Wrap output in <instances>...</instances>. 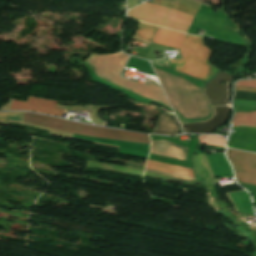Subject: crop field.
<instances>
[{
	"label": "crop field",
	"instance_id": "9",
	"mask_svg": "<svg viewBox=\"0 0 256 256\" xmlns=\"http://www.w3.org/2000/svg\"><path fill=\"white\" fill-rule=\"evenodd\" d=\"M153 42L180 49L184 43V36L182 33L159 27Z\"/></svg>",
	"mask_w": 256,
	"mask_h": 256
},
{
	"label": "crop field",
	"instance_id": "14",
	"mask_svg": "<svg viewBox=\"0 0 256 256\" xmlns=\"http://www.w3.org/2000/svg\"><path fill=\"white\" fill-rule=\"evenodd\" d=\"M200 143L224 147L225 139L217 136H199Z\"/></svg>",
	"mask_w": 256,
	"mask_h": 256
},
{
	"label": "crop field",
	"instance_id": "17",
	"mask_svg": "<svg viewBox=\"0 0 256 256\" xmlns=\"http://www.w3.org/2000/svg\"><path fill=\"white\" fill-rule=\"evenodd\" d=\"M236 86H242V87H255L256 88V80L252 81H239Z\"/></svg>",
	"mask_w": 256,
	"mask_h": 256
},
{
	"label": "crop field",
	"instance_id": "6",
	"mask_svg": "<svg viewBox=\"0 0 256 256\" xmlns=\"http://www.w3.org/2000/svg\"><path fill=\"white\" fill-rule=\"evenodd\" d=\"M238 181L256 185V154L228 149Z\"/></svg>",
	"mask_w": 256,
	"mask_h": 256
},
{
	"label": "crop field",
	"instance_id": "8",
	"mask_svg": "<svg viewBox=\"0 0 256 256\" xmlns=\"http://www.w3.org/2000/svg\"><path fill=\"white\" fill-rule=\"evenodd\" d=\"M151 141V153L186 160V148L184 146L170 141Z\"/></svg>",
	"mask_w": 256,
	"mask_h": 256
},
{
	"label": "crop field",
	"instance_id": "1",
	"mask_svg": "<svg viewBox=\"0 0 256 256\" xmlns=\"http://www.w3.org/2000/svg\"><path fill=\"white\" fill-rule=\"evenodd\" d=\"M152 65L174 111L183 119L204 121L212 116V109L202 92L204 82L155 64ZM177 113L178 119L183 120Z\"/></svg>",
	"mask_w": 256,
	"mask_h": 256
},
{
	"label": "crop field",
	"instance_id": "19",
	"mask_svg": "<svg viewBox=\"0 0 256 256\" xmlns=\"http://www.w3.org/2000/svg\"><path fill=\"white\" fill-rule=\"evenodd\" d=\"M236 90L240 91H250V92H256V89L254 88H242V87H235Z\"/></svg>",
	"mask_w": 256,
	"mask_h": 256
},
{
	"label": "crop field",
	"instance_id": "7",
	"mask_svg": "<svg viewBox=\"0 0 256 256\" xmlns=\"http://www.w3.org/2000/svg\"><path fill=\"white\" fill-rule=\"evenodd\" d=\"M57 102L31 98L27 102L13 100L9 110L27 109L61 117L65 111L57 108Z\"/></svg>",
	"mask_w": 256,
	"mask_h": 256
},
{
	"label": "crop field",
	"instance_id": "16",
	"mask_svg": "<svg viewBox=\"0 0 256 256\" xmlns=\"http://www.w3.org/2000/svg\"><path fill=\"white\" fill-rule=\"evenodd\" d=\"M154 2L159 3V4H163V5H167V6H170L172 8H175V9H178V10H181V11L193 14V15H195V13L197 11L196 9H194L190 6L179 4V3L177 4V6H175L173 4H170V3H167V2H164V1H160V0H155Z\"/></svg>",
	"mask_w": 256,
	"mask_h": 256
},
{
	"label": "crop field",
	"instance_id": "11",
	"mask_svg": "<svg viewBox=\"0 0 256 256\" xmlns=\"http://www.w3.org/2000/svg\"><path fill=\"white\" fill-rule=\"evenodd\" d=\"M146 167L168 172V173L194 177L191 169L179 167L171 164L149 160Z\"/></svg>",
	"mask_w": 256,
	"mask_h": 256
},
{
	"label": "crop field",
	"instance_id": "15",
	"mask_svg": "<svg viewBox=\"0 0 256 256\" xmlns=\"http://www.w3.org/2000/svg\"><path fill=\"white\" fill-rule=\"evenodd\" d=\"M22 114L20 112L0 113V124L6 125L8 120L20 122Z\"/></svg>",
	"mask_w": 256,
	"mask_h": 256
},
{
	"label": "crop field",
	"instance_id": "5",
	"mask_svg": "<svg viewBox=\"0 0 256 256\" xmlns=\"http://www.w3.org/2000/svg\"><path fill=\"white\" fill-rule=\"evenodd\" d=\"M133 19L186 33L193 16L174 9L144 3L128 12Z\"/></svg>",
	"mask_w": 256,
	"mask_h": 256
},
{
	"label": "crop field",
	"instance_id": "12",
	"mask_svg": "<svg viewBox=\"0 0 256 256\" xmlns=\"http://www.w3.org/2000/svg\"><path fill=\"white\" fill-rule=\"evenodd\" d=\"M233 126H255L256 127V111L251 113H235Z\"/></svg>",
	"mask_w": 256,
	"mask_h": 256
},
{
	"label": "crop field",
	"instance_id": "4",
	"mask_svg": "<svg viewBox=\"0 0 256 256\" xmlns=\"http://www.w3.org/2000/svg\"><path fill=\"white\" fill-rule=\"evenodd\" d=\"M185 44L180 49L182 59L169 60L176 65V71L207 81L218 70L208 63L210 51L204 46L203 39L185 35Z\"/></svg>",
	"mask_w": 256,
	"mask_h": 256
},
{
	"label": "crop field",
	"instance_id": "18",
	"mask_svg": "<svg viewBox=\"0 0 256 256\" xmlns=\"http://www.w3.org/2000/svg\"><path fill=\"white\" fill-rule=\"evenodd\" d=\"M145 170H147V171H152V172H156V173H160V174L167 175V176H172V177H178V178H184V179H193V180H196L195 178L182 177V176L173 175V174L161 173V172H157V171H154V170H151V169H147V168H146Z\"/></svg>",
	"mask_w": 256,
	"mask_h": 256
},
{
	"label": "crop field",
	"instance_id": "3",
	"mask_svg": "<svg viewBox=\"0 0 256 256\" xmlns=\"http://www.w3.org/2000/svg\"><path fill=\"white\" fill-rule=\"evenodd\" d=\"M22 122L46 126L52 129L71 132V133H77V134L112 138V139L146 143V144L150 143L149 136L146 134L99 128V127H94L89 125L57 120V119H53V118H49V117H45L37 114H31V113H25L23 116Z\"/></svg>",
	"mask_w": 256,
	"mask_h": 256
},
{
	"label": "crop field",
	"instance_id": "10",
	"mask_svg": "<svg viewBox=\"0 0 256 256\" xmlns=\"http://www.w3.org/2000/svg\"><path fill=\"white\" fill-rule=\"evenodd\" d=\"M178 129L179 124L174 116L161 113L152 133L175 134Z\"/></svg>",
	"mask_w": 256,
	"mask_h": 256
},
{
	"label": "crop field",
	"instance_id": "13",
	"mask_svg": "<svg viewBox=\"0 0 256 256\" xmlns=\"http://www.w3.org/2000/svg\"><path fill=\"white\" fill-rule=\"evenodd\" d=\"M156 29H157L156 26H151V25H147L140 22V28L137 32V35L141 36L142 39H145L151 42Z\"/></svg>",
	"mask_w": 256,
	"mask_h": 256
},
{
	"label": "crop field",
	"instance_id": "2",
	"mask_svg": "<svg viewBox=\"0 0 256 256\" xmlns=\"http://www.w3.org/2000/svg\"><path fill=\"white\" fill-rule=\"evenodd\" d=\"M128 58L124 54L94 55L91 54L85 61L90 69L101 79L112 83L118 87L130 90L134 93L156 100L169 106L160 87L147 83L143 85L139 82L124 79L118 76ZM170 107V106H169Z\"/></svg>",
	"mask_w": 256,
	"mask_h": 256
},
{
	"label": "crop field",
	"instance_id": "20",
	"mask_svg": "<svg viewBox=\"0 0 256 256\" xmlns=\"http://www.w3.org/2000/svg\"><path fill=\"white\" fill-rule=\"evenodd\" d=\"M179 122H180V124H181V126H182L184 132L186 133V130H185L184 126H183V123H182L181 121H179Z\"/></svg>",
	"mask_w": 256,
	"mask_h": 256
}]
</instances>
